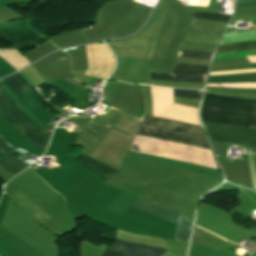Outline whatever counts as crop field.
<instances>
[{"mask_svg": "<svg viewBox=\"0 0 256 256\" xmlns=\"http://www.w3.org/2000/svg\"><path fill=\"white\" fill-rule=\"evenodd\" d=\"M204 121L249 128L256 125V101L207 94L202 109Z\"/></svg>", "mask_w": 256, "mask_h": 256, "instance_id": "crop-field-1", "label": "crop field"}, {"mask_svg": "<svg viewBox=\"0 0 256 256\" xmlns=\"http://www.w3.org/2000/svg\"><path fill=\"white\" fill-rule=\"evenodd\" d=\"M0 165L11 173H19L27 167L0 138Z\"/></svg>", "mask_w": 256, "mask_h": 256, "instance_id": "crop-field-7", "label": "crop field"}, {"mask_svg": "<svg viewBox=\"0 0 256 256\" xmlns=\"http://www.w3.org/2000/svg\"><path fill=\"white\" fill-rule=\"evenodd\" d=\"M110 248L115 249L117 251H120V252L125 253L130 256H161V255L165 254V252H166V249L155 248V247H151V246L140 245V244L124 242V241H119V240H117L115 245H113ZM110 248L106 249L104 251L103 255H105V256H127L125 254H122V253L112 250Z\"/></svg>", "mask_w": 256, "mask_h": 256, "instance_id": "crop-field-6", "label": "crop field"}, {"mask_svg": "<svg viewBox=\"0 0 256 256\" xmlns=\"http://www.w3.org/2000/svg\"><path fill=\"white\" fill-rule=\"evenodd\" d=\"M202 91L200 90H179L174 89V96L187 97V98H201Z\"/></svg>", "mask_w": 256, "mask_h": 256, "instance_id": "crop-field-15", "label": "crop field"}, {"mask_svg": "<svg viewBox=\"0 0 256 256\" xmlns=\"http://www.w3.org/2000/svg\"><path fill=\"white\" fill-rule=\"evenodd\" d=\"M253 71H256V69H253V70H237V71L215 72V73H210L209 75L227 74V73H239V72H253Z\"/></svg>", "mask_w": 256, "mask_h": 256, "instance_id": "crop-field-17", "label": "crop field"}, {"mask_svg": "<svg viewBox=\"0 0 256 256\" xmlns=\"http://www.w3.org/2000/svg\"><path fill=\"white\" fill-rule=\"evenodd\" d=\"M208 67L197 65L175 64L172 74H200L206 75Z\"/></svg>", "mask_w": 256, "mask_h": 256, "instance_id": "crop-field-12", "label": "crop field"}, {"mask_svg": "<svg viewBox=\"0 0 256 256\" xmlns=\"http://www.w3.org/2000/svg\"><path fill=\"white\" fill-rule=\"evenodd\" d=\"M82 164L85 170L89 171L90 173L94 174L95 176L99 177L102 180H107L111 178L117 171L100 164L84 155L80 157L77 161Z\"/></svg>", "mask_w": 256, "mask_h": 256, "instance_id": "crop-field-9", "label": "crop field"}, {"mask_svg": "<svg viewBox=\"0 0 256 256\" xmlns=\"http://www.w3.org/2000/svg\"><path fill=\"white\" fill-rule=\"evenodd\" d=\"M68 57H69V55H67L65 57H62V58H60V59H58L56 61H53V62H51V63H49V64H47V65H45V66H43V67H41L39 69H37V71L40 72V71H42V70H44V69H46V68H48V67H50V66H52V65H54L56 63H58V62H60V61H62L64 59L68 58Z\"/></svg>", "mask_w": 256, "mask_h": 256, "instance_id": "crop-field-16", "label": "crop field"}, {"mask_svg": "<svg viewBox=\"0 0 256 256\" xmlns=\"http://www.w3.org/2000/svg\"><path fill=\"white\" fill-rule=\"evenodd\" d=\"M212 54L208 53H200V52H192L186 50H179L178 56L179 57H187V58H196V59H206L210 60Z\"/></svg>", "mask_w": 256, "mask_h": 256, "instance_id": "crop-field-14", "label": "crop field"}, {"mask_svg": "<svg viewBox=\"0 0 256 256\" xmlns=\"http://www.w3.org/2000/svg\"><path fill=\"white\" fill-rule=\"evenodd\" d=\"M3 81L18 98L32 88V86L27 83L24 78L18 73L4 79Z\"/></svg>", "mask_w": 256, "mask_h": 256, "instance_id": "crop-field-10", "label": "crop field"}, {"mask_svg": "<svg viewBox=\"0 0 256 256\" xmlns=\"http://www.w3.org/2000/svg\"><path fill=\"white\" fill-rule=\"evenodd\" d=\"M0 113L38 148L41 149L48 144L49 136L42 133L43 129L12 101L1 86Z\"/></svg>", "mask_w": 256, "mask_h": 256, "instance_id": "crop-field-3", "label": "crop field"}, {"mask_svg": "<svg viewBox=\"0 0 256 256\" xmlns=\"http://www.w3.org/2000/svg\"><path fill=\"white\" fill-rule=\"evenodd\" d=\"M190 14L192 18H196V19L224 21V22H228L231 17L228 15L204 13V12H190Z\"/></svg>", "mask_w": 256, "mask_h": 256, "instance_id": "crop-field-13", "label": "crop field"}, {"mask_svg": "<svg viewBox=\"0 0 256 256\" xmlns=\"http://www.w3.org/2000/svg\"><path fill=\"white\" fill-rule=\"evenodd\" d=\"M64 79H66L67 81H69V82L72 83L73 85L77 86L78 88L84 90L83 87H82V85H81V83L78 82L77 80H75L74 78L68 76V77H66V78H64Z\"/></svg>", "mask_w": 256, "mask_h": 256, "instance_id": "crop-field-18", "label": "crop field"}, {"mask_svg": "<svg viewBox=\"0 0 256 256\" xmlns=\"http://www.w3.org/2000/svg\"><path fill=\"white\" fill-rule=\"evenodd\" d=\"M205 123L213 141L256 147V130Z\"/></svg>", "mask_w": 256, "mask_h": 256, "instance_id": "crop-field-4", "label": "crop field"}, {"mask_svg": "<svg viewBox=\"0 0 256 256\" xmlns=\"http://www.w3.org/2000/svg\"><path fill=\"white\" fill-rule=\"evenodd\" d=\"M133 206L143 209L145 211H148L150 213H153L159 217H162V218H164L168 221L174 222L176 224L178 222L179 214L171 212L166 209H163L161 207H158V206L151 204L149 202H146L140 198L133 204ZM191 227H192V224L188 221V219L186 217L180 215L174 239L188 242Z\"/></svg>", "mask_w": 256, "mask_h": 256, "instance_id": "crop-field-5", "label": "crop field"}, {"mask_svg": "<svg viewBox=\"0 0 256 256\" xmlns=\"http://www.w3.org/2000/svg\"><path fill=\"white\" fill-rule=\"evenodd\" d=\"M251 41H256V35L246 36V37L225 38L222 40L221 44L251 42ZM250 49H256V42L219 45L216 53L238 51V50H250Z\"/></svg>", "mask_w": 256, "mask_h": 256, "instance_id": "crop-field-8", "label": "crop field"}, {"mask_svg": "<svg viewBox=\"0 0 256 256\" xmlns=\"http://www.w3.org/2000/svg\"><path fill=\"white\" fill-rule=\"evenodd\" d=\"M135 134L210 150L199 126L174 120L144 116Z\"/></svg>", "mask_w": 256, "mask_h": 256, "instance_id": "crop-field-2", "label": "crop field"}, {"mask_svg": "<svg viewBox=\"0 0 256 256\" xmlns=\"http://www.w3.org/2000/svg\"><path fill=\"white\" fill-rule=\"evenodd\" d=\"M206 76L199 75H160L150 74L151 79L156 80H182V81H194L204 83Z\"/></svg>", "mask_w": 256, "mask_h": 256, "instance_id": "crop-field-11", "label": "crop field"}, {"mask_svg": "<svg viewBox=\"0 0 256 256\" xmlns=\"http://www.w3.org/2000/svg\"><path fill=\"white\" fill-rule=\"evenodd\" d=\"M240 1H250V0H237V2H240Z\"/></svg>", "mask_w": 256, "mask_h": 256, "instance_id": "crop-field-19", "label": "crop field"}]
</instances>
